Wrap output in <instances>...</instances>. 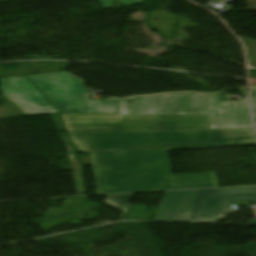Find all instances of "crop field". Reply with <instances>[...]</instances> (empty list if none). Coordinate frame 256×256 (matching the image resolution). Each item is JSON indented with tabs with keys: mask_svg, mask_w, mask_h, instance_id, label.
Segmentation results:
<instances>
[{
	"mask_svg": "<svg viewBox=\"0 0 256 256\" xmlns=\"http://www.w3.org/2000/svg\"><path fill=\"white\" fill-rule=\"evenodd\" d=\"M80 152L90 153L99 194L218 187L215 173L172 175L168 151L256 145L252 129L70 135Z\"/></svg>",
	"mask_w": 256,
	"mask_h": 256,
	"instance_id": "1",
	"label": "crop field"
},
{
	"mask_svg": "<svg viewBox=\"0 0 256 256\" xmlns=\"http://www.w3.org/2000/svg\"><path fill=\"white\" fill-rule=\"evenodd\" d=\"M117 100V115L61 114L68 133L251 128L248 99L220 102L218 95L165 94ZM129 99V100H132Z\"/></svg>",
	"mask_w": 256,
	"mask_h": 256,
	"instance_id": "2",
	"label": "crop field"
},
{
	"mask_svg": "<svg viewBox=\"0 0 256 256\" xmlns=\"http://www.w3.org/2000/svg\"><path fill=\"white\" fill-rule=\"evenodd\" d=\"M29 77L61 113H117L114 99L93 103L86 96V82L67 73ZM25 76L1 79V92L25 115L59 113Z\"/></svg>",
	"mask_w": 256,
	"mask_h": 256,
	"instance_id": "3",
	"label": "crop field"
},
{
	"mask_svg": "<svg viewBox=\"0 0 256 256\" xmlns=\"http://www.w3.org/2000/svg\"><path fill=\"white\" fill-rule=\"evenodd\" d=\"M256 202V187L198 191L187 221H204L233 212L230 203Z\"/></svg>",
	"mask_w": 256,
	"mask_h": 256,
	"instance_id": "4",
	"label": "crop field"
},
{
	"mask_svg": "<svg viewBox=\"0 0 256 256\" xmlns=\"http://www.w3.org/2000/svg\"><path fill=\"white\" fill-rule=\"evenodd\" d=\"M196 192L166 193L155 220L186 221Z\"/></svg>",
	"mask_w": 256,
	"mask_h": 256,
	"instance_id": "5",
	"label": "crop field"
},
{
	"mask_svg": "<svg viewBox=\"0 0 256 256\" xmlns=\"http://www.w3.org/2000/svg\"><path fill=\"white\" fill-rule=\"evenodd\" d=\"M134 194L107 196L106 202L117 208L127 211Z\"/></svg>",
	"mask_w": 256,
	"mask_h": 256,
	"instance_id": "6",
	"label": "crop field"
},
{
	"mask_svg": "<svg viewBox=\"0 0 256 256\" xmlns=\"http://www.w3.org/2000/svg\"><path fill=\"white\" fill-rule=\"evenodd\" d=\"M111 1L113 0H100V2L103 3V8L111 7ZM119 1H122L127 6L144 2L143 0H119Z\"/></svg>",
	"mask_w": 256,
	"mask_h": 256,
	"instance_id": "7",
	"label": "crop field"
},
{
	"mask_svg": "<svg viewBox=\"0 0 256 256\" xmlns=\"http://www.w3.org/2000/svg\"><path fill=\"white\" fill-rule=\"evenodd\" d=\"M254 123H256V87L251 88Z\"/></svg>",
	"mask_w": 256,
	"mask_h": 256,
	"instance_id": "8",
	"label": "crop field"
},
{
	"mask_svg": "<svg viewBox=\"0 0 256 256\" xmlns=\"http://www.w3.org/2000/svg\"><path fill=\"white\" fill-rule=\"evenodd\" d=\"M222 219H225V216L220 217V218H217V219H214V220H211V222H217V221H220V220H222Z\"/></svg>",
	"mask_w": 256,
	"mask_h": 256,
	"instance_id": "9",
	"label": "crop field"
},
{
	"mask_svg": "<svg viewBox=\"0 0 256 256\" xmlns=\"http://www.w3.org/2000/svg\"><path fill=\"white\" fill-rule=\"evenodd\" d=\"M249 225H256V221H247Z\"/></svg>",
	"mask_w": 256,
	"mask_h": 256,
	"instance_id": "10",
	"label": "crop field"
}]
</instances>
